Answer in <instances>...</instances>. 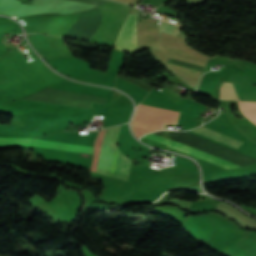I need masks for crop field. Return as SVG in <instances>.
<instances>
[{"instance_id":"obj_1","label":"crop field","mask_w":256,"mask_h":256,"mask_svg":"<svg viewBox=\"0 0 256 256\" xmlns=\"http://www.w3.org/2000/svg\"><path fill=\"white\" fill-rule=\"evenodd\" d=\"M120 126L100 131L95 141L92 171L114 177L119 152L116 141ZM130 162L131 160L119 152L116 178L128 181Z\"/></svg>"},{"instance_id":"obj_2","label":"crop field","mask_w":256,"mask_h":256,"mask_svg":"<svg viewBox=\"0 0 256 256\" xmlns=\"http://www.w3.org/2000/svg\"><path fill=\"white\" fill-rule=\"evenodd\" d=\"M136 16L129 15L118 36L115 47L125 51L136 27ZM137 50L136 29L126 51Z\"/></svg>"},{"instance_id":"obj_3","label":"crop field","mask_w":256,"mask_h":256,"mask_svg":"<svg viewBox=\"0 0 256 256\" xmlns=\"http://www.w3.org/2000/svg\"><path fill=\"white\" fill-rule=\"evenodd\" d=\"M192 131L197 132L199 134H202L204 136H207L209 138H212V139H214L216 141H219L221 143H224V144L229 145L231 147H234L236 149H238L240 147V145L242 144V142H240V141H237V140H235L233 138L225 136V135H223L221 133L213 131V130H211L209 128H206L204 126L196 128V129H194Z\"/></svg>"},{"instance_id":"obj_4","label":"crop field","mask_w":256,"mask_h":256,"mask_svg":"<svg viewBox=\"0 0 256 256\" xmlns=\"http://www.w3.org/2000/svg\"><path fill=\"white\" fill-rule=\"evenodd\" d=\"M33 145L47 147V148H54V149H65V150H71V151L92 153V147H89V146L72 145V144L47 142V141H39V140H33Z\"/></svg>"},{"instance_id":"obj_5","label":"crop field","mask_w":256,"mask_h":256,"mask_svg":"<svg viewBox=\"0 0 256 256\" xmlns=\"http://www.w3.org/2000/svg\"><path fill=\"white\" fill-rule=\"evenodd\" d=\"M220 99L240 100L232 83L223 82L220 89Z\"/></svg>"},{"instance_id":"obj_6","label":"crop field","mask_w":256,"mask_h":256,"mask_svg":"<svg viewBox=\"0 0 256 256\" xmlns=\"http://www.w3.org/2000/svg\"><path fill=\"white\" fill-rule=\"evenodd\" d=\"M238 103L247 119L256 124V102L238 101Z\"/></svg>"},{"instance_id":"obj_7","label":"crop field","mask_w":256,"mask_h":256,"mask_svg":"<svg viewBox=\"0 0 256 256\" xmlns=\"http://www.w3.org/2000/svg\"><path fill=\"white\" fill-rule=\"evenodd\" d=\"M32 139L23 138H0L2 145H31Z\"/></svg>"},{"instance_id":"obj_8","label":"crop field","mask_w":256,"mask_h":256,"mask_svg":"<svg viewBox=\"0 0 256 256\" xmlns=\"http://www.w3.org/2000/svg\"><path fill=\"white\" fill-rule=\"evenodd\" d=\"M131 128H132L134 134L138 138L141 137L143 134L154 131V130H150V129H146V128H142V127H138V126H134V125H132Z\"/></svg>"},{"instance_id":"obj_9","label":"crop field","mask_w":256,"mask_h":256,"mask_svg":"<svg viewBox=\"0 0 256 256\" xmlns=\"http://www.w3.org/2000/svg\"><path fill=\"white\" fill-rule=\"evenodd\" d=\"M182 27V26H181Z\"/></svg>"}]
</instances>
